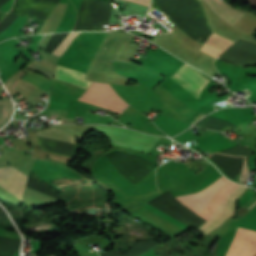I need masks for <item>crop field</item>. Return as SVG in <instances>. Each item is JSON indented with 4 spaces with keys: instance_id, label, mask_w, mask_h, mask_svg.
Returning a JSON list of instances; mask_svg holds the SVG:
<instances>
[{
    "instance_id": "1",
    "label": "crop field",
    "mask_w": 256,
    "mask_h": 256,
    "mask_svg": "<svg viewBox=\"0 0 256 256\" xmlns=\"http://www.w3.org/2000/svg\"><path fill=\"white\" fill-rule=\"evenodd\" d=\"M223 176L216 182L209 185L202 191L196 194H188L180 197H176L183 205L197 212L208 202L213 196L216 190L226 181ZM235 183L226 181L210 199V201L198 212V215L205 219L220 206L229 191L235 186ZM246 189L245 186L237 185L227 195L221 206L209 217L208 221L200 227V230L204 233L210 232L212 229L220 226L228 216L234 213V201L241 193Z\"/></svg>"
},
{
    "instance_id": "2",
    "label": "crop field",
    "mask_w": 256,
    "mask_h": 256,
    "mask_svg": "<svg viewBox=\"0 0 256 256\" xmlns=\"http://www.w3.org/2000/svg\"><path fill=\"white\" fill-rule=\"evenodd\" d=\"M94 129L103 131L113 145L148 152L160 137L143 134L121 127L96 125Z\"/></svg>"
},
{
    "instance_id": "3",
    "label": "crop field",
    "mask_w": 256,
    "mask_h": 256,
    "mask_svg": "<svg viewBox=\"0 0 256 256\" xmlns=\"http://www.w3.org/2000/svg\"><path fill=\"white\" fill-rule=\"evenodd\" d=\"M256 253V232L238 228L225 256H253Z\"/></svg>"
},
{
    "instance_id": "4",
    "label": "crop field",
    "mask_w": 256,
    "mask_h": 256,
    "mask_svg": "<svg viewBox=\"0 0 256 256\" xmlns=\"http://www.w3.org/2000/svg\"><path fill=\"white\" fill-rule=\"evenodd\" d=\"M177 71H179L181 74H183L185 77L190 79L192 82H194L202 89L208 82V80H206L205 77H203L201 74H199L197 71H195L193 68H191L189 65L185 63ZM177 71L171 78L174 79L177 83H179L182 87H184L193 96L199 98L202 89H200L198 86H196L194 83L189 81L187 78H185Z\"/></svg>"
},
{
    "instance_id": "5",
    "label": "crop field",
    "mask_w": 256,
    "mask_h": 256,
    "mask_svg": "<svg viewBox=\"0 0 256 256\" xmlns=\"http://www.w3.org/2000/svg\"><path fill=\"white\" fill-rule=\"evenodd\" d=\"M9 167H12V166H9ZM9 167H4V168H0V169H5V168H9ZM12 168H14V167H12ZM12 168L5 169V170H0V184H2L4 187H6L10 191L14 192L15 194H17L18 196H20L21 189H22V186H23V183H24V179L26 177L25 183H24V186H23V189H22V193H21V198L19 197L20 199H22L23 193H24V189H25L26 180H27V176H25L20 171H18L17 169L14 168L16 171H18L23 176H25V177H23L21 174H19L18 172H16Z\"/></svg>"
},
{
    "instance_id": "6",
    "label": "crop field",
    "mask_w": 256,
    "mask_h": 256,
    "mask_svg": "<svg viewBox=\"0 0 256 256\" xmlns=\"http://www.w3.org/2000/svg\"><path fill=\"white\" fill-rule=\"evenodd\" d=\"M84 73L77 72L65 67H61L57 65L56 68V80H60L78 87H82L87 89V87L90 85V81L83 80Z\"/></svg>"
},
{
    "instance_id": "7",
    "label": "crop field",
    "mask_w": 256,
    "mask_h": 256,
    "mask_svg": "<svg viewBox=\"0 0 256 256\" xmlns=\"http://www.w3.org/2000/svg\"><path fill=\"white\" fill-rule=\"evenodd\" d=\"M212 11L221 17L223 20L230 24H234L238 21L245 13L236 11L218 0H205Z\"/></svg>"
},
{
    "instance_id": "8",
    "label": "crop field",
    "mask_w": 256,
    "mask_h": 256,
    "mask_svg": "<svg viewBox=\"0 0 256 256\" xmlns=\"http://www.w3.org/2000/svg\"><path fill=\"white\" fill-rule=\"evenodd\" d=\"M36 134L39 137L77 145L76 139L73 135L54 128L46 129L43 131H37Z\"/></svg>"
},
{
    "instance_id": "9",
    "label": "crop field",
    "mask_w": 256,
    "mask_h": 256,
    "mask_svg": "<svg viewBox=\"0 0 256 256\" xmlns=\"http://www.w3.org/2000/svg\"><path fill=\"white\" fill-rule=\"evenodd\" d=\"M78 33H69V35L59 44V46L54 50L53 54L60 56L71 42V40L77 35Z\"/></svg>"
},
{
    "instance_id": "10",
    "label": "crop field",
    "mask_w": 256,
    "mask_h": 256,
    "mask_svg": "<svg viewBox=\"0 0 256 256\" xmlns=\"http://www.w3.org/2000/svg\"><path fill=\"white\" fill-rule=\"evenodd\" d=\"M79 100H81V101H85V102H88V103H91V104H94V105H98V106H101V107H104V108H108V106L101 105V104L94 103V102H90V101H86V100H83V99H81V98H80ZM109 109H110V110H112V108H110V107H109ZM113 111H116V112L121 113V111H118V110H116V109H113Z\"/></svg>"
},
{
    "instance_id": "11",
    "label": "crop field",
    "mask_w": 256,
    "mask_h": 256,
    "mask_svg": "<svg viewBox=\"0 0 256 256\" xmlns=\"http://www.w3.org/2000/svg\"><path fill=\"white\" fill-rule=\"evenodd\" d=\"M129 1H133V2L140 3L147 6L149 5V2H150V0H129Z\"/></svg>"
},
{
    "instance_id": "12",
    "label": "crop field",
    "mask_w": 256,
    "mask_h": 256,
    "mask_svg": "<svg viewBox=\"0 0 256 256\" xmlns=\"http://www.w3.org/2000/svg\"><path fill=\"white\" fill-rule=\"evenodd\" d=\"M66 186V185H60L59 187Z\"/></svg>"
},
{
    "instance_id": "13",
    "label": "crop field",
    "mask_w": 256,
    "mask_h": 256,
    "mask_svg": "<svg viewBox=\"0 0 256 256\" xmlns=\"http://www.w3.org/2000/svg\"><path fill=\"white\" fill-rule=\"evenodd\" d=\"M199 41V40H198Z\"/></svg>"
},
{
    "instance_id": "14",
    "label": "crop field",
    "mask_w": 256,
    "mask_h": 256,
    "mask_svg": "<svg viewBox=\"0 0 256 256\" xmlns=\"http://www.w3.org/2000/svg\"><path fill=\"white\" fill-rule=\"evenodd\" d=\"M256 256V255H255Z\"/></svg>"
}]
</instances>
